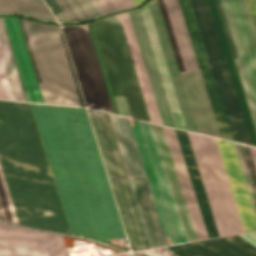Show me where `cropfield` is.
<instances>
[{
	"label": "crop field",
	"instance_id": "obj_16",
	"mask_svg": "<svg viewBox=\"0 0 256 256\" xmlns=\"http://www.w3.org/2000/svg\"><path fill=\"white\" fill-rule=\"evenodd\" d=\"M152 131L156 140V144L160 153V157L164 166V170L169 182V186L173 195V199L177 208V212L181 221L184 233H187L189 241L198 240L187 206L179 183V179L175 170V166L170 154V150L165 138L163 128L152 125ZM186 241L187 236L185 234Z\"/></svg>",
	"mask_w": 256,
	"mask_h": 256
},
{
	"label": "crop field",
	"instance_id": "obj_9",
	"mask_svg": "<svg viewBox=\"0 0 256 256\" xmlns=\"http://www.w3.org/2000/svg\"><path fill=\"white\" fill-rule=\"evenodd\" d=\"M256 127V37L244 0H216Z\"/></svg>",
	"mask_w": 256,
	"mask_h": 256
},
{
	"label": "crop field",
	"instance_id": "obj_13",
	"mask_svg": "<svg viewBox=\"0 0 256 256\" xmlns=\"http://www.w3.org/2000/svg\"><path fill=\"white\" fill-rule=\"evenodd\" d=\"M71 238L0 224V256H68Z\"/></svg>",
	"mask_w": 256,
	"mask_h": 256
},
{
	"label": "crop field",
	"instance_id": "obj_14",
	"mask_svg": "<svg viewBox=\"0 0 256 256\" xmlns=\"http://www.w3.org/2000/svg\"><path fill=\"white\" fill-rule=\"evenodd\" d=\"M128 14L156 100V104L161 116L162 123L164 125L175 127L174 120L160 79V75L151 50V46L141 18L140 11L138 10L130 12Z\"/></svg>",
	"mask_w": 256,
	"mask_h": 256
},
{
	"label": "crop field",
	"instance_id": "obj_28",
	"mask_svg": "<svg viewBox=\"0 0 256 256\" xmlns=\"http://www.w3.org/2000/svg\"><path fill=\"white\" fill-rule=\"evenodd\" d=\"M0 210L4 221L18 223L16 213L0 166Z\"/></svg>",
	"mask_w": 256,
	"mask_h": 256
},
{
	"label": "crop field",
	"instance_id": "obj_29",
	"mask_svg": "<svg viewBox=\"0 0 256 256\" xmlns=\"http://www.w3.org/2000/svg\"><path fill=\"white\" fill-rule=\"evenodd\" d=\"M105 13L116 11L123 8H128L137 5L143 0H97Z\"/></svg>",
	"mask_w": 256,
	"mask_h": 256
},
{
	"label": "crop field",
	"instance_id": "obj_7",
	"mask_svg": "<svg viewBox=\"0 0 256 256\" xmlns=\"http://www.w3.org/2000/svg\"><path fill=\"white\" fill-rule=\"evenodd\" d=\"M132 250L149 248L108 115L88 109Z\"/></svg>",
	"mask_w": 256,
	"mask_h": 256
},
{
	"label": "crop field",
	"instance_id": "obj_18",
	"mask_svg": "<svg viewBox=\"0 0 256 256\" xmlns=\"http://www.w3.org/2000/svg\"><path fill=\"white\" fill-rule=\"evenodd\" d=\"M13 46V50L20 68V72L31 102L44 103L34 74V70L27 52V48L20 30L18 20L3 17Z\"/></svg>",
	"mask_w": 256,
	"mask_h": 256
},
{
	"label": "crop field",
	"instance_id": "obj_33",
	"mask_svg": "<svg viewBox=\"0 0 256 256\" xmlns=\"http://www.w3.org/2000/svg\"><path fill=\"white\" fill-rule=\"evenodd\" d=\"M239 237L256 248V233L239 235Z\"/></svg>",
	"mask_w": 256,
	"mask_h": 256
},
{
	"label": "crop field",
	"instance_id": "obj_15",
	"mask_svg": "<svg viewBox=\"0 0 256 256\" xmlns=\"http://www.w3.org/2000/svg\"><path fill=\"white\" fill-rule=\"evenodd\" d=\"M186 129L197 132L157 0L148 4ZM198 133V132H197Z\"/></svg>",
	"mask_w": 256,
	"mask_h": 256
},
{
	"label": "crop field",
	"instance_id": "obj_6",
	"mask_svg": "<svg viewBox=\"0 0 256 256\" xmlns=\"http://www.w3.org/2000/svg\"><path fill=\"white\" fill-rule=\"evenodd\" d=\"M201 136L202 143L206 152V156L210 165V169L214 178L217 192L221 201V205L225 214V218L231 235L249 231H256V216L250 200V196L246 187L243 173L239 164V160L235 151L234 144L227 141L216 140L207 136Z\"/></svg>",
	"mask_w": 256,
	"mask_h": 256
},
{
	"label": "crop field",
	"instance_id": "obj_21",
	"mask_svg": "<svg viewBox=\"0 0 256 256\" xmlns=\"http://www.w3.org/2000/svg\"><path fill=\"white\" fill-rule=\"evenodd\" d=\"M188 133L190 143L195 155V159L201 174V178L206 190V194L212 209V213L217 225L220 236L230 235L224 218V214L220 205V201L216 192L213 178L209 169V165L205 156V152L201 143L200 136Z\"/></svg>",
	"mask_w": 256,
	"mask_h": 256
},
{
	"label": "crop field",
	"instance_id": "obj_17",
	"mask_svg": "<svg viewBox=\"0 0 256 256\" xmlns=\"http://www.w3.org/2000/svg\"><path fill=\"white\" fill-rule=\"evenodd\" d=\"M168 247L183 256H256V249L237 236Z\"/></svg>",
	"mask_w": 256,
	"mask_h": 256
},
{
	"label": "crop field",
	"instance_id": "obj_10",
	"mask_svg": "<svg viewBox=\"0 0 256 256\" xmlns=\"http://www.w3.org/2000/svg\"><path fill=\"white\" fill-rule=\"evenodd\" d=\"M130 120L168 245L186 242L149 123Z\"/></svg>",
	"mask_w": 256,
	"mask_h": 256
},
{
	"label": "crop field",
	"instance_id": "obj_31",
	"mask_svg": "<svg viewBox=\"0 0 256 256\" xmlns=\"http://www.w3.org/2000/svg\"><path fill=\"white\" fill-rule=\"evenodd\" d=\"M51 11L54 13L58 21L62 22H69L67 17L64 15L58 4L55 2V0H45Z\"/></svg>",
	"mask_w": 256,
	"mask_h": 256
},
{
	"label": "crop field",
	"instance_id": "obj_32",
	"mask_svg": "<svg viewBox=\"0 0 256 256\" xmlns=\"http://www.w3.org/2000/svg\"><path fill=\"white\" fill-rule=\"evenodd\" d=\"M256 33V0H245Z\"/></svg>",
	"mask_w": 256,
	"mask_h": 256
},
{
	"label": "crop field",
	"instance_id": "obj_8",
	"mask_svg": "<svg viewBox=\"0 0 256 256\" xmlns=\"http://www.w3.org/2000/svg\"><path fill=\"white\" fill-rule=\"evenodd\" d=\"M202 42L211 65L233 140L251 144L228 67L206 0H190Z\"/></svg>",
	"mask_w": 256,
	"mask_h": 256
},
{
	"label": "crop field",
	"instance_id": "obj_30",
	"mask_svg": "<svg viewBox=\"0 0 256 256\" xmlns=\"http://www.w3.org/2000/svg\"><path fill=\"white\" fill-rule=\"evenodd\" d=\"M137 256H178L166 247L133 252Z\"/></svg>",
	"mask_w": 256,
	"mask_h": 256
},
{
	"label": "crop field",
	"instance_id": "obj_22",
	"mask_svg": "<svg viewBox=\"0 0 256 256\" xmlns=\"http://www.w3.org/2000/svg\"><path fill=\"white\" fill-rule=\"evenodd\" d=\"M119 16H120V20H121L123 30H124V33L126 36L128 47H129V50L131 53V57H132V60L134 63L136 74H137V77L139 80V84H140V87L142 90V94H143L144 101H145V104L147 107V111H148V114L150 117V121L154 122V123L162 124L155 101H154V97H153L151 88L149 85V81H148V78H147V75H146V72L144 69V65H143V62H142V59H141V56L139 53V49H138V46H137V43H136V40L134 37V33H133V30H132V27H131V24L129 21L128 14L127 13L120 14Z\"/></svg>",
	"mask_w": 256,
	"mask_h": 256
},
{
	"label": "crop field",
	"instance_id": "obj_5",
	"mask_svg": "<svg viewBox=\"0 0 256 256\" xmlns=\"http://www.w3.org/2000/svg\"><path fill=\"white\" fill-rule=\"evenodd\" d=\"M92 25L119 113L149 121L119 16Z\"/></svg>",
	"mask_w": 256,
	"mask_h": 256
},
{
	"label": "crop field",
	"instance_id": "obj_20",
	"mask_svg": "<svg viewBox=\"0 0 256 256\" xmlns=\"http://www.w3.org/2000/svg\"><path fill=\"white\" fill-rule=\"evenodd\" d=\"M176 130V129H175ZM177 137L181 146V150L186 162V166L190 175V179L194 188V192L198 201V205L203 217V221L207 230L208 237H217L218 232L211 213V209L205 194V190L200 178V174L194 159V155L189 143L187 133L176 130Z\"/></svg>",
	"mask_w": 256,
	"mask_h": 256
},
{
	"label": "crop field",
	"instance_id": "obj_26",
	"mask_svg": "<svg viewBox=\"0 0 256 256\" xmlns=\"http://www.w3.org/2000/svg\"><path fill=\"white\" fill-rule=\"evenodd\" d=\"M89 19L104 14L96 0H77ZM76 0H56L70 22L88 19Z\"/></svg>",
	"mask_w": 256,
	"mask_h": 256
},
{
	"label": "crop field",
	"instance_id": "obj_11",
	"mask_svg": "<svg viewBox=\"0 0 256 256\" xmlns=\"http://www.w3.org/2000/svg\"><path fill=\"white\" fill-rule=\"evenodd\" d=\"M109 115L151 247L167 245L129 120Z\"/></svg>",
	"mask_w": 256,
	"mask_h": 256
},
{
	"label": "crop field",
	"instance_id": "obj_4",
	"mask_svg": "<svg viewBox=\"0 0 256 256\" xmlns=\"http://www.w3.org/2000/svg\"><path fill=\"white\" fill-rule=\"evenodd\" d=\"M18 20L44 102L84 107L59 26Z\"/></svg>",
	"mask_w": 256,
	"mask_h": 256
},
{
	"label": "crop field",
	"instance_id": "obj_34",
	"mask_svg": "<svg viewBox=\"0 0 256 256\" xmlns=\"http://www.w3.org/2000/svg\"><path fill=\"white\" fill-rule=\"evenodd\" d=\"M250 147V150H251V153H252V157H253V160H254V163H255V166H256V148L255 147Z\"/></svg>",
	"mask_w": 256,
	"mask_h": 256
},
{
	"label": "crop field",
	"instance_id": "obj_12",
	"mask_svg": "<svg viewBox=\"0 0 256 256\" xmlns=\"http://www.w3.org/2000/svg\"><path fill=\"white\" fill-rule=\"evenodd\" d=\"M62 28L87 107L114 113L88 26Z\"/></svg>",
	"mask_w": 256,
	"mask_h": 256
},
{
	"label": "crop field",
	"instance_id": "obj_2",
	"mask_svg": "<svg viewBox=\"0 0 256 256\" xmlns=\"http://www.w3.org/2000/svg\"><path fill=\"white\" fill-rule=\"evenodd\" d=\"M0 162L19 223L69 233L28 103L0 100Z\"/></svg>",
	"mask_w": 256,
	"mask_h": 256
},
{
	"label": "crop field",
	"instance_id": "obj_25",
	"mask_svg": "<svg viewBox=\"0 0 256 256\" xmlns=\"http://www.w3.org/2000/svg\"><path fill=\"white\" fill-rule=\"evenodd\" d=\"M0 13H16L27 17L55 21L42 0H0Z\"/></svg>",
	"mask_w": 256,
	"mask_h": 256
},
{
	"label": "crop field",
	"instance_id": "obj_35",
	"mask_svg": "<svg viewBox=\"0 0 256 256\" xmlns=\"http://www.w3.org/2000/svg\"><path fill=\"white\" fill-rule=\"evenodd\" d=\"M116 256H130V255H127V254H122V255H116Z\"/></svg>",
	"mask_w": 256,
	"mask_h": 256
},
{
	"label": "crop field",
	"instance_id": "obj_3",
	"mask_svg": "<svg viewBox=\"0 0 256 256\" xmlns=\"http://www.w3.org/2000/svg\"><path fill=\"white\" fill-rule=\"evenodd\" d=\"M221 137L232 140L189 0H178ZM177 0H158L181 73L199 70ZM201 134H220L199 71L181 74ZM233 141V140H232Z\"/></svg>",
	"mask_w": 256,
	"mask_h": 256
},
{
	"label": "crop field",
	"instance_id": "obj_27",
	"mask_svg": "<svg viewBox=\"0 0 256 256\" xmlns=\"http://www.w3.org/2000/svg\"><path fill=\"white\" fill-rule=\"evenodd\" d=\"M234 144L256 213V169L251 153L248 146L236 143Z\"/></svg>",
	"mask_w": 256,
	"mask_h": 256
},
{
	"label": "crop field",
	"instance_id": "obj_23",
	"mask_svg": "<svg viewBox=\"0 0 256 256\" xmlns=\"http://www.w3.org/2000/svg\"><path fill=\"white\" fill-rule=\"evenodd\" d=\"M140 11L142 14V18H143V21H144V24H145V27L147 30V34H148L151 46H152V50H153V53H154V56L156 59V63H157V66H158V69H159V72L161 75V79H162V82H163V85L165 88V92H166V95H167V98H168V101L170 104V108H171V111H172V114H173V117L175 120L176 127L179 129L186 130L180 110H179V106H178V103H177V100L175 97V93H174V90H173V87L171 84V80H170V77H169V74H168V71L166 68V64H165V61H164V58L162 55V51H161V48H160V45L158 42V38H157L155 29L153 26V22H152L150 13H149L148 6L143 7L142 9H140Z\"/></svg>",
	"mask_w": 256,
	"mask_h": 256
},
{
	"label": "crop field",
	"instance_id": "obj_19",
	"mask_svg": "<svg viewBox=\"0 0 256 256\" xmlns=\"http://www.w3.org/2000/svg\"><path fill=\"white\" fill-rule=\"evenodd\" d=\"M164 127V126H163ZM165 134L169 143V147L172 153V157L177 169V173L182 185V189L190 210V214L193 220V224L198 236V239H206L207 234L202 221V217L197 205V201L193 192V188L189 179V175L185 166V162L180 150V146L176 137L174 129L164 127Z\"/></svg>",
	"mask_w": 256,
	"mask_h": 256
},
{
	"label": "crop field",
	"instance_id": "obj_24",
	"mask_svg": "<svg viewBox=\"0 0 256 256\" xmlns=\"http://www.w3.org/2000/svg\"><path fill=\"white\" fill-rule=\"evenodd\" d=\"M0 50H1V54H2V57H3L4 63H5V66H6V70H7L9 79H10L11 86H12V89H13V92H14L15 99L16 100H21V101H26L25 97H24V94H23V90H22L20 81H19V78H18V74H17L16 68H15V65H14V62H13V58H12V55H11V52H10V49H9L4 31H3V28H2V25H1V22H0ZM0 74H1L4 86H5V89H6L8 99L9 100H14L13 96H12L10 86H9V83H8L7 76H6V73H5V70H4V66H3V63H2L1 57H0ZM1 77H0V79H1ZM2 80H1V82H2ZM1 82H0V98L6 99L7 98V96L5 98L6 93L4 95L5 89L3 91L4 86L2 88L3 83L1 85Z\"/></svg>",
	"mask_w": 256,
	"mask_h": 256
},
{
	"label": "crop field",
	"instance_id": "obj_36",
	"mask_svg": "<svg viewBox=\"0 0 256 256\" xmlns=\"http://www.w3.org/2000/svg\"><path fill=\"white\" fill-rule=\"evenodd\" d=\"M0 221H1V219H0Z\"/></svg>",
	"mask_w": 256,
	"mask_h": 256
},
{
	"label": "crop field",
	"instance_id": "obj_1",
	"mask_svg": "<svg viewBox=\"0 0 256 256\" xmlns=\"http://www.w3.org/2000/svg\"><path fill=\"white\" fill-rule=\"evenodd\" d=\"M30 105L71 234L125 236L85 109Z\"/></svg>",
	"mask_w": 256,
	"mask_h": 256
}]
</instances>
